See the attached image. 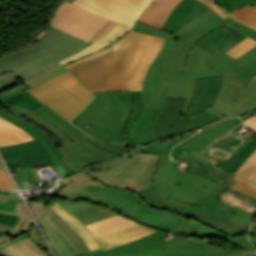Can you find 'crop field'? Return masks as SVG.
Masks as SVG:
<instances>
[{
    "label": "crop field",
    "instance_id": "b54c1fbb",
    "mask_svg": "<svg viewBox=\"0 0 256 256\" xmlns=\"http://www.w3.org/2000/svg\"><path fill=\"white\" fill-rule=\"evenodd\" d=\"M237 182L231 187L232 189L241 191L256 198V184L251 181H246L238 176L234 178Z\"/></svg>",
    "mask_w": 256,
    "mask_h": 256
},
{
    "label": "crop field",
    "instance_id": "1d83c4d3",
    "mask_svg": "<svg viewBox=\"0 0 256 256\" xmlns=\"http://www.w3.org/2000/svg\"><path fill=\"white\" fill-rule=\"evenodd\" d=\"M51 209L59 215L68 226L73 229L76 234L82 239V241L87 245V247L92 250L100 249V245L95 239V237L86 229V227L70 212L62 208L61 206L54 203Z\"/></svg>",
    "mask_w": 256,
    "mask_h": 256
},
{
    "label": "crop field",
    "instance_id": "180be81f",
    "mask_svg": "<svg viewBox=\"0 0 256 256\" xmlns=\"http://www.w3.org/2000/svg\"><path fill=\"white\" fill-rule=\"evenodd\" d=\"M0 192H4V193H13V192H6V191H0Z\"/></svg>",
    "mask_w": 256,
    "mask_h": 256
},
{
    "label": "crop field",
    "instance_id": "25e5ab78",
    "mask_svg": "<svg viewBox=\"0 0 256 256\" xmlns=\"http://www.w3.org/2000/svg\"><path fill=\"white\" fill-rule=\"evenodd\" d=\"M27 235L29 237H31L34 240V242L37 243L41 248H43L44 250L47 249L45 243L43 242V240H42V238H41V236H40V234H39V232H38V230L36 228V226L33 227L30 230V232L27 233Z\"/></svg>",
    "mask_w": 256,
    "mask_h": 256
},
{
    "label": "crop field",
    "instance_id": "5142ce71",
    "mask_svg": "<svg viewBox=\"0 0 256 256\" xmlns=\"http://www.w3.org/2000/svg\"><path fill=\"white\" fill-rule=\"evenodd\" d=\"M11 165L50 166L51 158L38 140L0 148Z\"/></svg>",
    "mask_w": 256,
    "mask_h": 256
},
{
    "label": "crop field",
    "instance_id": "d32e631a",
    "mask_svg": "<svg viewBox=\"0 0 256 256\" xmlns=\"http://www.w3.org/2000/svg\"><path fill=\"white\" fill-rule=\"evenodd\" d=\"M216 198L249 214L256 215V199L241 192L225 187Z\"/></svg>",
    "mask_w": 256,
    "mask_h": 256
},
{
    "label": "crop field",
    "instance_id": "ade564c9",
    "mask_svg": "<svg viewBox=\"0 0 256 256\" xmlns=\"http://www.w3.org/2000/svg\"><path fill=\"white\" fill-rule=\"evenodd\" d=\"M70 98L73 99L76 103H78L80 106H82L83 108L85 107L83 104H81L79 101H77L74 97H72L70 95Z\"/></svg>",
    "mask_w": 256,
    "mask_h": 256
},
{
    "label": "crop field",
    "instance_id": "d8731c3e",
    "mask_svg": "<svg viewBox=\"0 0 256 256\" xmlns=\"http://www.w3.org/2000/svg\"><path fill=\"white\" fill-rule=\"evenodd\" d=\"M28 92L68 121L83 109L68 97L69 94L85 106L93 97L68 71L43 82Z\"/></svg>",
    "mask_w": 256,
    "mask_h": 256
},
{
    "label": "crop field",
    "instance_id": "d9b57169",
    "mask_svg": "<svg viewBox=\"0 0 256 256\" xmlns=\"http://www.w3.org/2000/svg\"><path fill=\"white\" fill-rule=\"evenodd\" d=\"M171 155L190 162L186 171L224 185L222 166L218 165L221 160L178 147L173 148Z\"/></svg>",
    "mask_w": 256,
    "mask_h": 256
},
{
    "label": "crop field",
    "instance_id": "dbb93151",
    "mask_svg": "<svg viewBox=\"0 0 256 256\" xmlns=\"http://www.w3.org/2000/svg\"><path fill=\"white\" fill-rule=\"evenodd\" d=\"M115 24H116V22L110 21L99 33H97V34L93 37L91 43L94 42L95 40H97L98 38H100L101 36H103V35H104L107 31H109ZM91 43H90V44H91Z\"/></svg>",
    "mask_w": 256,
    "mask_h": 256
},
{
    "label": "crop field",
    "instance_id": "0bd39190",
    "mask_svg": "<svg viewBox=\"0 0 256 256\" xmlns=\"http://www.w3.org/2000/svg\"><path fill=\"white\" fill-rule=\"evenodd\" d=\"M234 18L245 23L248 26L256 24V8L245 5L238 10L230 13Z\"/></svg>",
    "mask_w": 256,
    "mask_h": 256
},
{
    "label": "crop field",
    "instance_id": "0f1d7ab4",
    "mask_svg": "<svg viewBox=\"0 0 256 256\" xmlns=\"http://www.w3.org/2000/svg\"><path fill=\"white\" fill-rule=\"evenodd\" d=\"M255 108H256V101L253 104H251L250 106H248L246 109H244V111L248 112Z\"/></svg>",
    "mask_w": 256,
    "mask_h": 256
},
{
    "label": "crop field",
    "instance_id": "00972430",
    "mask_svg": "<svg viewBox=\"0 0 256 256\" xmlns=\"http://www.w3.org/2000/svg\"><path fill=\"white\" fill-rule=\"evenodd\" d=\"M66 185L60 192L56 195L64 197L68 200L71 199H83L94 201L96 191H85L87 186H104L100 181L93 178L88 174L77 175L72 178L61 181Z\"/></svg>",
    "mask_w": 256,
    "mask_h": 256
},
{
    "label": "crop field",
    "instance_id": "eef30255",
    "mask_svg": "<svg viewBox=\"0 0 256 256\" xmlns=\"http://www.w3.org/2000/svg\"><path fill=\"white\" fill-rule=\"evenodd\" d=\"M49 201H42V203H33L30 205L35 217L37 218L42 230L44 231L51 247L56 256H74L73 251L63 238L55 232L41 217L50 209L43 206Z\"/></svg>",
    "mask_w": 256,
    "mask_h": 256
},
{
    "label": "crop field",
    "instance_id": "5a996713",
    "mask_svg": "<svg viewBox=\"0 0 256 256\" xmlns=\"http://www.w3.org/2000/svg\"><path fill=\"white\" fill-rule=\"evenodd\" d=\"M33 111L73 140L74 142L69 143V145L89 165L110 159L128 147V145L104 142L89 137L45 104Z\"/></svg>",
    "mask_w": 256,
    "mask_h": 256
},
{
    "label": "crop field",
    "instance_id": "e1d0b9f6",
    "mask_svg": "<svg viewBox=\"0 0 256 256\" xmlns=\"http://www.w3.org/2000/svg\"><path fill=\"white\" fill-rule=\"evenodd\" d=\"M0 197H18L17 194H3L0 193Z\"/></svg>",
    "mask_w": 256,
    "mask_h": 256
},
{
    "label": "crop field",
    "instance_id": "d23c7cc5",
    "mask_svg": "<svg viewBox=\"0 0 256 256\" xmlns=\"http://www.w3.org/2000/svg\"><path fill=\"white\" fill-rule=\"evenodd\" d=\"M229 25L236 28L237 30L249 35L250 37L256 39V30H254V29H252V28H250V27H248V26H246V25H244L240 22H237V21H235V22H233Z\"/></svg>",
    "mask_w": 256,
    "mask_h": 256
},
{
    "label": "crop field",
    "instance_id": "d3111659",
    "mask_svg": "<svg viewBox=\"0 0 256 256\" xmlns=\"http://www.w3.org/2000/svg\"><path fill=\"white\" fill-rule=\"evenodd\" d=\"M0 212L20 216L15 226L6 233L13 238L29 231L34 226L21 200H0Z\"/></svg>",
    "mask_w": 256,
    "mask_h": 256
},
{
    "label": "crop field",
    "instance_id": "e52e79f7",
    "mask_svg": "<svg viewBox=\"0 0 256 256\" xmlns=\"http://www.w3.org/2000/svg\"><path fill=\"white\" fill-rule=\"evenodd\" d=\"M245 38L246 36L226 25L208 34L196 45L212 54L209 66L241 84H246L256 74V47L237 60L225 55L226 51Z\"/></svg>",
    "mask_w": 256,
    "mask_h": 256
},
{
    "label": "crop field",
    "instance_id": "ae633e8c",
    "mask_svg": "<svg viewBox=\"0 0 256 256\" xmlns=\"http://www.w3.org/2000/svg\"><path fill=\"white\" fill-rule=\"evenodd\" d=\"M254 114L256 115V111L253 112V113H251V114H247V115L240 116V118H241L242 121H243V120L247 119L248 117H250V116H252V115H254Z\"/></svg>",
    "mask_w": 256,
    "mask_h": 256
},
{
    "label": "crop field",
    "instance_id": "b80d0937",
    "mask_svg": "<svg viewBox=\"0 0 256 256\" xmlns=\"http://www.w3.org/2000/svg\"><path fill=\"white\" fill-rule=\"evenodd\" d=\"M142 147H132L129 146L124 152H122L121 154L117 155L115 158L98 163V164H94L91 166H88L86 168H84L85 170L89 171V170H93V169H97V168H102V167H106V166H110V165H114L117 164L123 160L128 159L129 157H131L133 154H135L138 150H140Z\"/></svg>",
    "mask_w": 256,
    "mask_h": 256
},
{
    "label": "crop field",
    "instance_id": "bc2a9ffb",
    "mask_svg": "<svg viewBox=\"0 0 256 256\" xmlns=\"http://www.w3.org/2000/svg\"><path fill=\"white\" fill-rule=\"evenodd\" d=\"M24 84L0 95V104L9 112L22 117L42 105L34 96L28 93Z\"/></svg>",
    "mask_w": 256,
    "mask_h": 256
},
{
    "label": "crop field",
    "instance_id": "34b2d1b8",
    "mask_svg": "<svg viewBox=\"0 0 256 256\" xmlns=\"http://www.w3.org/2000/svg\"><path fill=\"white\" fill-rule=\"evenodd\" d=\"M165 39L131 31L111 47L66 66L92 93L142 90Z\"/></svg>",
    "mask_w": 256,
    "mask_h": 256
},
{
    "label": "crop field",
    "instance_id": "730fd06b",
    "mask_svg": "<svg viewBox=\"0 0 256 256\" xmlns=\"http://www.w3.org/2000/svg\"><path fill=\"white\" fill-rule=\"evenodd\" d=\"M244 125L242 122L237 126L233 127L232 129L226 131L225 133L221 134L218 138H216L213 142H211L207 147H205L200 153L209 155L208 152L212 148H218L222 150L229 151L232 153L235 148L242 142V139L238 134H233L232 132L235 131L237 128ZM256 137V132L252 134L232 155L226 160L221 161L219 165L227 166L243 149L244 147L252 141V139ZM210 156V155H209Z\"/></svg>",
    "mask_w": 256,
    "mask_h": 256
},
{
    "label": "crop field",
    "instance_id": "ae1a2a85",
    "mask_svg": "<svg viewBox=\"0 0 256 256\" xmlns=\"http://www.w3.org/2000/svg\"><path fill=\"white\" fill-rule=\"evenodd\" d=\"M181 0H154L137 19V22L156 28L163 27L175 5Z\"/></svg>",
    "mask_w": 256,
    "mask_h": 256
},
{
    "label": "crop field",
    "instance_id": "c3a83c6f",
    "mask_svg": "<svg viewBox=\"0 0 256 256\" xmlns=\"http://www.w3.org/2000/svg\"><path fill=\"white\" fill-rule=\"evenodd\" d=\"M252 181L256 182V175L254 176V178L252 179Z\"/></svg>",
    "mask_w": 256,
    "mask_h": 256
},
{
    "label": "crop field",
    "instance_id": "0765c3eb",
    "mask_svg": "<svg viewBox=\"0 0 256 256\" xmlns=\"http://www.w3.org/2000/svg\"><path fill=\"white\" fill-rule=\"evenodd\" d=\"M81 256H103V253H102V250L100 249V250H97L85 255H81Z\"/></svg>",
    "mask_w": 256,
    "mask_h": 256
},
{
    "label": "crop field",
    "instance_id": "dd49c442",
    "mask_svg": "<svg viewBox=\"0 0 256 256\" xmlns=\"http://www.w3.org/2000/svg\"><path fill=\"white\" fill-rule=\"evenodd\" d=\"M223 79L216 77L195 80L194 99L185 117H180L185 100L167 99L161 120L155 127V138L197 129L220 119L205 109L217 98Z\"/></svg>",
    "mask_w": 256,
    "mask_h": 256
},
{
    "label": "crop field",
    "instance_id": "0fb4a251",
    "mask_svg": "<svg viewBox=\"0 0 256 256\" xmlns=\"http://www.w3.org/2000/svg\"><path fill=\"white\" fill-rule=\"evenodd\" d=\"M225 169L226 168L223 167V173H224V177H225V186L230 188L235 183V181L232 180L235 177V175L224 172Z\"/></svg>",
    "mask_w": 256,
    "mask_h": 256
},
{
    "label": "crop field",
    "instance_id": "7b73153f",
    "mask_svg": "<svg viewBox=\"0 0 256 256\" xmlns=\"http://www.w3.org/2000/svg\"><path fill=\"white\" fill-rule=\"evenodd\" d=\"M12 228V226H8V225H2L0 224V230H3V231H8Z\"/></svg>",
    "mask_w": 256,
    "mask_h": 256
},
{
    "label": "crop field",
    "instance_id": "fb207236",
    "mask_svg": "<svg viewBox=\"0 0 256 256\" xmlns=\"http://www.w3.org/2000/svg\"><path fill=\"white\" fill-rule=\"evenodd\" d=\"M0 169L4 170V168H3L2 164H1V162H0Z\"/></svg>",
    "mask_w": 256,
    "mask_h": 256
},
{
    "label": "crop field",
    "instance_id": "c035e120",
    "mask_svg": "<svg viewBox=\"0 0 256 256\" xmlns=\"http://www.w3.org/2000/svg\"><path fill=\"white\" fill-rule=\"evenodd\" d=\"M256 148V138L249 143L246 148L227 166L226 172L234 174L235 171L242 165L249 155Z\"/></svg>",
    "mask_w": 256,
    "mask_h": 256
},
{
    "label": "crop field",
    "instance_id": "28ad6ade",
    "mask_svg": "<svg viewBox=\"0 0 256 256\" xmlns=\"http://www.w3.org/2000/svg\"><path fill=\"white\" fill-rule=\"evenodd\" d=\"M108 21L109 19L63 1L55 11L50 25L89 42Z\"/></svg>",
    "mask_w": 256,
    "mask_h": 256
},
{
    "label": "crop field",
    "instance_id": "ac0d7876",
    "mask_svg": "<svg viewBox=\"0 0 256 256\" xmlns=\"http://www.w3.org/2000/svg\"><path fill=\"white\" fill-rule=\"evenodd\" d=\"M132 30L166 38L143 83V111L128 134V144L145 145L156 141L153 130L166 98L186 99L185 116L194 94V79L223 76L208 66L211 54L170 34L135 22ZM224 77V76H223Z\"/></svg>",
    "mask_w": 256,
    "mask_h": 256
},
{
    "label": "crop field",
    "instance_id": "dafd665d",
    "mask_svg": "<svg viewBox=\"0 0 256 256\" xmlns=\"http://www.w3.org/2000/svg\"><path fill=\"white\" fill-rule=\"evenodd\" d=\"M165 235H166V232L159 231L154 234L143 237L141 239L135 240L133 242L110 249L108 251L122 250V249H135V248L168 247V246L205 243L203 241L188 239V238L177 236L174 234L172 235L171 239H169L165 237Z\"/></svg>",
    "mask_w": 256,
    "mask_h": 256
},
{
    "label": "crop field",
    "instance_id": "22f410ed",
    "mask_svg": "<svg viewBox=\"0 0 256 256\" xmlns=\"http://www.w3.org/2000/svg\"><path fill=\"white\" fill-rule=\"evenodd\" d=\"M256 100V77L247 86L224 79L220 94L213 107L231 115L245 113L242 111Z\"/></svg>",
    "mask_w": 256,
    "mask_h": 256
},
{
    "label": "crop field",
    "instance_id": "cbeb9de0",
    "mask_svg": "<svg viewBox=\"0 0 256 256\" xmlns=\"http://www.w3.org/2000/svg\"><path fill=\"white\" fill-rule=\"evenodd\" d=\"M238 252L237 250L206 243L169 248L122 250L103 253L104 256H221Z\"/></svg>",
    "mask_w": 256,
    "mask_h": 256
},
{
    "label": "crop field",
    "instance_id": "8a807250",
    "mask_svg": "<svg viewBox=\"0 0 256 256\" xmlns=\"http://www.w3.org/2000/svg\"><path fill=\"white\" fill-rule=\"evenodd\" d=\"M192 134L142 151L160 155L152 186L136 194L103 187L86 190H98L95 201L159 230L230 240L255 252L256 247L246 237L254 216L214 198L225 186L185 172L186 163L178 167L169 159L170 149Z\"/></svg>",
    "mask_w": 256,
    "mask_h": 256
},
{
    "label": "crop field",
    "instance_id": "db79e9e6",
    "mask_svg": "<svg viewBox=\"0 0 256 256\" xmlns=\"http://www.w3.org/2000/svg\"><path fill=\"white\" fill-rule=\"evenodd\" d=\"M253 223H252V225L249 229L248 235H255L256 236V228L253 227Z\"/></svg>",
    "mask_w": 256,
    "mask_h": 256
},
{
    "label": "crop field",
    "instance_id": "bd1437ed",
    "mask_svg": "<svg viewBox=\"0 0 256 256\" xmlns=\"http://www.w3.org/2000/svg\"><path fill=\"white\" fill-rule=\"evenodd\" d=\"M0 256H49L26 234L0 246Z\"/></svg>",
    "mask_w": 256,
    "mask_h": 256
},
{
    "label": "crop field",
    "instance_id": "214f88e0",
    "mask_svg": "<svg viewBox=\"0 0 256 256\" xmlns=\"http://www.w3.org/2000/svg\"><path fill=\"white\" fill-rule=\"evenodd\" d=\"M0 116L9 120L12 123L18 125L24 131L29 133L34 139L38 138L46 146V148L48 149V151L51 155L54 166L56 167L61 178L73 174V173L67 171L65 169V167L63 166V163L61 161L57 147L47 134H45L40 129L34 127L32 124L22 120L21 118H18L16 116L12 115L10 113H7L5 111H0Z\"/></svg>",
    "mask_w": 256,
    "mask_h": 256
},
{
    "label": "crop field",
    "instance_id": "e1f06a70",
    "mask_svg": "<svg viewBox=\"0 0 256 256\" xmlns=\"http://www.w3.org/2000/svg\"><path fill=\"white\" fill-rule=\"evenodd\" d=\"M73 215H75L80 221L87 225L116 214L109 210H102L100 207L93 205L89 208L75 212Z\"/></svg>",
    "mask_w": 256,
    "mask_h": 256
},
{
    "label": "crop field",
    "instance_id": "5d738f31",
    "mask_svg": "<svg viewBox=\"0 0 256 256\" xmlns=\"http://www.w3.org/2000/svg\"><path fill=\"white\" fill-rule=\"evenodd\" d=\"M219 3L228 13L244 4L253 5L256 0H214Z\"/></svg>",
    "mask_w": 256,
    "mask_h": 256
},
{
    "label": "crop field",
    "instance_id": "c21b1889",
    "mask_svg": "<svg viewBox=\"0 0 256 256\" xmlns=\"http://www.w3.org/2000/svg\"><path fill=\"white\" fill-rule=\"evenodd\" d=\"M236 174L243 176L249 180L252 179V177L256 174V150L237 170Z\"/></svg>",
    "mask_w": 256,
    "mask_h": 256
},
{
    "label": "crop field",
    "instance_id": "120bbe31",
    "mask_svg": "<svg viewBox=\"0 0 256 256\" xmlns=\"http://www.w3.org/2000/svg\"><path fill=\"white\" fill-rule=\"evenodd\" d=\"M129 29H130V27H127V26L117 23L108 33H106L103 37H101L100 39L95 41L93 44L86 47L82 51H80L74 55H71L59 62L64 64L71 60H75L80 57L91 54L95 51H98V50L104 48L105 46L111 44L112 42L118 40L119 38H121Z\"/></svg>",
    "mask_w": 256,
    "mask_h": 256
},
{
    "label": "crop field",
    "instance_id": "f4fd0767",
    "mask_svg": "<svg viewBox=\"0 0 256 256\" xmlns=\"http://www.w3.org/2000/svg\"><path fill=\"white\" fill-rule=\"evenodd\" d=\"M94 95L92 102L71 122L93 137L126 143L125 133H128L134 119L140 118L142 91Z\"/></svg>",
    "mask_w": 256,
    "mask_h": 256
},
{
    "label": "crop field",
    "instance_id": "1d79db26",
    "mask_svg": "<svg viewBox=\"0 0 256 256\" xmlns=\"http://www.w3.org/2000/svg\"><path fill=\"white\" fill-rule=\"evenodd\" d=\"M64 71H66L65 68H63V69H61V70H59V71H57V72H55V73H53V74H51V75H49V76H47V77H45V78H43V79H41V80L35 82L34 84H32V85H30V86H28V87H29V89H30V88H32V87H34V86H36V85L42 83L43 81H45V80H47V79H49V78H51V77H53V76H55V75H57V74H60V73H62V72H64Z\"/></svg>",
    "mask_w": 256,
    "mask_h": 256
},
{
    "label": "crop field",
    "instance_id": "d1516ede",
    "mask_svg": "<svg viewBox=\"0 0 256 256\" xmlns=\"http://www.w3.org/2000/svg\"><path fill=\"white\" fill-rule=\"evenodd\" d=\"M151 0H73L72 3L98 15L132 26Z\"/></svg>",
    "mask_w": 256,
    "mask_h": 256
},
{
    "label": "crop field",
    "instance_id": "c821d689",
    "mask_svg": "<svg viewBox=\"0 0 256 256\" xmlns=\"http://www.w3.org/2000/svg\"><path fill=\"white\" fill-rule=\"evenodd\" d=\"M253 6H255V7H256V4H255V5H253Z\"/></svg>",
    "mask_w": 256,
    "mask_h": 256
},
{
    "label": "crop field",
    "instance_id": "d14b1444",
    "mask_svg": "<svg viewBox=\"0 0 256 256\" xmlns=\"http://www.w3.org/2000/svg\"><path fill=\"white\" fill-rule=\"evenodd\" d=\"M9 240H11V239H9L8 237H6V236L4 235V236H2V237L0 238V244H2V243H4V242H7V241H9Z\"/></svg>",
    "mask_w": 256,
    "mask_h": 256
},
{
    "label": "crop field",
    "instance_id": "f0312440",
    "mask_svg": "<svg viewBox=\"0 0 256 256\" xmlns=\"http://www.w3.org/2000/svg\"><path fill=\"white\" fill-rule=\"evenodd\" d=\"M254 221H255V224H254V226L256 227V218H255V220H254Z\"/></svg>",
    "mask_w": 256,
    "mask_h": 256
},
{
    "label": "crop field",
    "instance_id": "4177f3b9",
    "mask_svg": "<svg viewBox=\"0 0 256 256\" xmlns=\"http://www.w3.org/2000/svg\"><path fill=\"white\" fill-rule=\"evenodd\" d=\"M156 231L159 230L137 222L124 230L107 235L97 236L96 239L99 241L103 250L105 251L121 244L141 238L148 234L154 233Z\"/></svg>",
    "mask_w": 256,
    "mask_h": 256
},
{
    "label": "crop field",
    "instance_id": "9d1cf04e",
    "mask_svg": "<svg viewBox=\"0 0 256 256\" xmlns=\"http://www.w3.org/2000/svg\"><path fill=\"white\" fill-rule=\"evenodd\" d=\"M243 122L256 130V116L255 115Z\"/></svg>",
    "mask_w": 256,
    "mask_h": 256
},
{
    "label": "crop field",
    "instance_id": "78b8030e",
    "mask_svg": "<svg viewBox=\"0 0 256 256\" xmlns=\"http://www.w3.org/2000/svg\"><path fill=\"white\" fill-rule=\"evenodd\" d=\"M226 256H255V255H251V254H248L246 252H242V253H239V254L226 255Z\"/></svg>",
    "mask_w": 256,
    "mask_h": 256
},
{
    "label": "crop field",
    "instance_id": "1f2cbd36",
    "mask_svg": "<svg viewBox=\"0 0 256 256\" xmlns=\"http://www.w3.org/2000/svg\"><path fill=\"white\" fill-rule=\"evenodd\" d=\"M18 217L0 213V223L13 225L17 222Z\"/></svg>",
    "mask_w": 256,
    "mask_h": 256
},
{
    "label": "crop field",
    "instance_id": "5866460e",
    "mask_svg": "<svg viewBox=\"0 0 256 256\" xmlns=\"http://www.w3.org/2000/svg\"><path fill=\"white\" fill-rule=\"evenodd\" d=\"M33 140L19 127L0 117V147Z\"/></svg>",
    "mask_w": 256,
    "mask_h": 256
},
{
    "label": "crop field",
    "instance_id": "03da06ac",
    "mask_svg": "<svg viewBox=\"0 0 256 256\" xmlns=\"http://www.w3.org/2000/svg\"><path fill=\"white\" fill-rule=\"evenodd\" d=\"M255 45H256V42L247 37L245 40L238 43L232 49L226 52V54L233 57L234 59H237L238 57H240L242 54L247 52L249 49H251Z\"/></svg>",
    "mask_w": 256,
    "mask_h": 256
},
{
    "label": "crop field",
    "instance_id": "4a817a6b",
    "mask_svg": "<svg viewBox=\"0 0 256 256\" xmlns=\"http://www.w3.org/2000/svg\"><path fill=\"white\" fill-rule=\"evenodd\" d=\"M25 117L33 120L35 123L53 133L58 140L63 144L62 148H59V152L64 163L66 169L77 173L79 171H85L82 168L88 166L81 158L74 152L70 146L67 144L71 142V140L65 136L61 131H59L56 127L51 125L49 122L44 120L42 117L34 113L33 111L26 115Z\"/></svg>",
    "mask_w": 256,
    "mask_h": 256
},
{
    "label": "crop field",
    "instance_id": "c39391a2",
    "mask_svg": "<svg viewBox=\"0 0 256 256\" xmlns=\"http://www.w3.org/2000/svg\"><path fill=\"white\" fill-rule=\"evenodd\" d=\"M249 238H250V240L252 241V243H253L254 245H256V237H254V236H249Z\"/></svg>",
    "mask_w": 256,
    "mask_h": 256
},
{
    "label": "crop field",
    "instance_id": "3316defc",
    "mask_svg": "<svg viewBox=\"0 0 256 256\" xmlns=\"http://www.w3.org/2000/svg\"><path fill=\"white\" fill-rule=\"evenodd\" d=\"M158 157L157 155L139 153L120 166L88 174L108 187L123 188L136 193L152 184Z\"/></svg>",
    "mask_w": 256,
    "mask_h": 256
},
{
    "label": "crop field",
    "instance_id": "c5b07064",
    "mask_svg": "<svg viewBox=\"0 0 256 256\" xmlns=\"http://www.w3.org/2000/svg\"><path fill=\"white\" fill-rule=\"evenodd\" d=\"M0 199H20V198H0Z\"/></svg>",
    "mask_w": 256,
    "mask_h": 256
},
{
    "label": "crop field",
    "instance_id": "028f5c9d",
    "mask_svg": "<svg viewBox=\"0 0 256 256\" xmlns=\"http://www.w3.org/2000/svg\"><path fill=\"white\" fill-rule=\"evenodd\" d=\"M134 220H127L118 215L87 225L94 236L102 235L126 228L135 223Z\"/></svg>",
    "mask_w": 256,
    "mask_h": 256
},
{
    "label": "crop field",
    "instance_id": "447ae74e",
    "mask_svg": "<svg viewBox=\"0 0 256 256\" xmlns=\"http://www.w3.org/2000/svg\"><path fill=\"white\" fill-rule=\"evenodd\" d=\"M61 68H63V66L60 67V68H58V69H56V70H54V71H52V72H49V73L45 74V75L42 74L43 76H40V77H38V78H35V79L31 80V81L25 83V85L28 86V85H30L31 83H33V82H35V81H37V80H39V79H41V78H43V77H45V76L51 74V73H53V72H55V71H57V70H59V69H61Z\"/></svg>",
    "mask_w": 256,
    "mask_h": 256
},
{
    "label": "crop field",
    "instance_id": "7312dd0a",
    "mask_svg": "<svg viewBox=\"0 0 256 256\" xmlns=\"http://www.w3.org/2000/svg\"><path fill=\"white\" fill-rule=\"evenodd\" d=\"M3 234H5V232L0 231V236L3 235Z\"/></svg>",
    "mask_w": 256,
    "mask_h": 256
},
{
    "label": "crop field",
    "instance_id": "819c52e7",
    "mask_svg": "<svg viewBox=\"0 0 256 256\" xmlns=\"http://www.w3.org/2000/svg\"><path fill=\"white\" fill-rule=\"evenodd\" d=\"M66 1H69V2H71L72 0H66Z\"/></svg>",
    "mask_w": 256,
    "mask_h": 256
},
{
    "label": "crop field",
    "instance_id": "412701ff",
    "mask_svg": "<svg viewBox=\"0 0 256 256\" xmlns=\"http://www.w3.org/2000/svg\"><path fill=\"white\" fill-rule=\"evenodd\" d=\"M39 41L0 58V91L19 84L16 78L25 83L61 66L58 60L89 44L52 26Z\"/></svg>",
    "mask_w": 256,
    "mask_h": 256
},
{
    "label": "crop field",
    "instance_id": "425ffa30",
    "mask_svg": "<svg viewBox=\"0 0 256 256\" xmlns=\"http://www.w3.org/2000/svg\"><path fill=\"white\" fill-rule=\"evenodd\" d=\"M59 204L63 205L71 213L91 206V204H82V203H75V202H70V201H66L64 203H59Z\"/></svg>",
    "mask_w": 256,
    "mask_h": 256
},
{
    "label": "crop field",
    "instance_id": "73cf0c24",
    "mask_svg": "<svg viewBox=\"0 0 256 256\" xmlns=\"http://www.w3.org/2000/svg\"><path fill=\"white\" fill-rule=\"evenodd\" d=\"M0 188L13 189V185L6 173V171L0 170Z\"/></svg>",
    "mask_w": 256,
    "mask_h": 256
},
{
    "label": "crop field",
    "instance_id": "a9b5d70f",
    "mask_svg": "<svg viewBox=\"0 0 256 256\" xmlns=\"http://www.w3.org/2000/svg\"><path fill=\"white\" fill-rule=\"evenodd\" d=\"M239 122L241 121L238 117L225 120L200 131L177 146L199 152L217 136L237 125Z\"/></svg>",
    "mask_w": 256,
    "mask_h": 256
},
{
    "label": "crop field",
    "instance_id": "750c4746",
    "mask_svg": "<svg viewBox=\"0 0 256 256\" xmlns=\"http://www.w3.org/2000/svg\"><path fill=\"white\" fill-rule=\"evenodd\" d=\"M42 218L64 238L76 255L89 252V249L75 232L71 230L51 209Z\"/></svg>",
    "mask_w": 256,
    "mask_h": 256
},
{
    "label": "crop field",
    "instance_id": "89e229c0",
    "mask_svg": "<svg viewBox=\"0 0 256 256\" xmlns=\"http://www.w3.org/2000/svg\"><path fill=\"white\" fill-rule=\"evenodd\" d=\"M201 2H203L204 4H206L207 6H209L211 9H213L217 14H219L221 17L226 18L229 17V15L227 13H225L221 8H219L214 2L210 1V0H200Z\"/></svg>",
    "mask_w": 256,
    "mask_h": 256
},
{
    "label": "crop field",
    "instance_id": "92a150f3",
    "mask_svg": "<svg viewBox=\"0 0 256 256\" xmlns=\"http://www.w3.org/2000/svg\"><path fill=\"white\" fill-rule=\"evenodd\" d=\"M208 8L209 7L198 0H182L176 5L163 28L173 33L177 31L178 28H182L188 24Z\"/></svg>",
    "mask_w": 256,
    "mask_h": 256
},
{
    "label": "crop field",
    "instance_id": "1f1604b0",
    "mask_svg": "<svg viewBox=\"0 0 256 256\" xmlns=\"http://www.w3.org/2000/svg\"><path fill=\"white\" fill-rule=\"evenodd\" d=\"M252 28L256 29V25H254Z\"/></svg>",
    "mask_w": 256,
    "mask_h": 256
},
{
    "label": "crop field",
    "instance_id": "733c2abd",
    "mask_svg": "<svg viewBox=\"0 0 256 256\" xmlns=\"http://www.w3.org/2000/svg\"><path fill=\"white\" fill-rule=\"evenodd\" d=\"M198 17V16H197ZM234 19H222L210 8L191 23L172 34L173 38H180L195 44L200 38L212 30L223 26Z\"/></svg>",
    "mask_w": 256,
    "mask_h": 256
}]
</instances>
